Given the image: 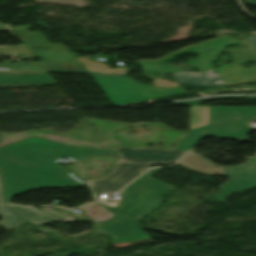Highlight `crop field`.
<instances>
[{
    "label": "crop field",
    "mask_w": 256,
    "mask_h": 256,
    "mask_svg": "<svg viewBox=\"0 0 256 256\" xmlns=\"http://www.w3.org/2000/svg\"><path fill=\"white\" fill-rule=\"evenodd\" d=\"M158 170H149L120 191L118 195L121 200L117 207L96 202L114 216L105 222L94 223V231L110 236L111 243L149 239L141 231L138 220L157 209L161 205L162 196L175 188L151 178Z\"/></svg>",
    "instance_id": "2"
},
{
    "label": "crop field",
    "mask_w": 256,
    "mask_h": 256,
    "mask_svg": "<svg viewBox=\"0 0 256 256\" xmlns=\"http://www.w3.org/2000/svg\"><path fill=\"white\" fill-rule=\"evenodd\" d=\"M59 201H60V200H59ZM59 201H57L55 205H57Z\"/></svg>",
    "instance_id": "17"
},
{
    "label": "crop field",
    "mask_w": 256,
    "mask_h": 256,
    "mask_svg": "<svg viewBox=\"0 0 256 256\" xmlns=\"http://www.w3.org/2000/svg\"><path fill=\"white\" fill-rule=\"evenodd\" d=\"M184 158V157H183ZM241 166L218 168L213 164L190 152L178 164L202 174H226L231 181L220 186V191L216 194V201L224 200V197L240 190L256 186V157L248 158ZM228 169H231L229 172Z\"/></svg>",
    "instance_id": "6"
},
{
    "label": "crop field",
    "mask_w": 256,
    "mask_h": 256,
    "mask_svg": "<svg viewBox=\"0 0 256 256\" xmlns=\"http://www.w3.org/2000/svg\"><path fill=\"white\" fill-rule=\"evenodd\" d=\"M70 255H71V254L55 252V253L52 254L51 256H70Z\"/></svg>",
    "instance_id": "14"
},
{
    "label": "crop field",
    "mask_w": 256,
    "mask_h": 256,
    "mask_svg": "<svg viewBox=\"0 0 256 256\" xmlns=\"http://www.w3.org/2000/svg\"><path fill=\"white\" fill-rule=\"evenodd\" d=\"M93 76L115 104L140 103L187 92L182 86L168 89L140 85L128 77Z\"/></svg>",
    "instance_id": "7"
},
{
    "label": "crop field",
    "mask_w": 256,
    "mask_h": 256,
    "mask_svg": "<svg viewBox=\"0 0 256 256\" xmlns=\"http://www.w3.org/2000/svg\"><path fill=\"white\" fill-rule=\"evenodd\" d=\"M246 3H248V4L252 5V6H256V1H248Z\"/></svg>",
    "instance_id": "16"
},
{
    "label": "crop field",
    "mask_w": 256,
    "mask_h": 256,
    "mask_svg": "<svg viewBox=\"0 0 256 256\" xmlns=\"http://www.w3.org/2000/svg\"><path fill=\"white\" fill-rule=\"evenodd\" d=\"M155 86H167V87H175L178 86L177 83H172L168 80H161V79H156L155 80Z\"/></svg>",
    "instance_id": "13"
},
{
    "label": "crop field",
    "mask_w": 256,
    "mask_h": 256,
    "mask_svg": "<svg viewBox=\"0 0 256 256\" xmlns=\"http://www.w3.org/2000/svg\"><path fill=\"white\" fill-rule=\"evenodd\" d=\"M0 216L3 217V221L0 222V225L5 227L7 230H11L12 228L25 222L21 217L5 206H0Z\"/></svg>",
    "instance_id": "12"
},
{
    "label": "crop field",
    "mask_w": 256,
    "mask_h": 256,
    "mask_svg": "<svg viewBox=\"0 0 256 256\" xmlns=\"http://www.w3.org/2000/svg\"><path fill=\"white\" fill-rule=\"evenodd\" d=\"M12 210L16 213L24 217L30 223L35 225H44L48 222L53 221H72L74 219L68 218L63 216L53 210L48 211H37L36 208L26 207V206H15V205H8Z\"/></svg>",
    "instance_id": "9"
},
{
    "label": "crop field",
    "mask_w": 256,
    "mask_h": 256,
    "mask_svg": "<svg viewBox=\"0 0 256 256\" xmlns=\"http://www.w3.org/2000/svg\"><path fill=\"white\" fill-rule=\"evenodd\" d=\"M209 110L210 124L189 131L171 150L124 147L110 174L88 181L95 198L119 190L154 164L176 162L208 136L247 139L248 133L256 129L247 125L256 117V107L209 106Z\"/></svg>",
    "instance_id": "1"
},
{
    "label": "crop field",
    "mask_w": 256,
    "mask_h": 256,
    "mask_svg": "<svg viewBox=\"0 0 256 256\" xmlns=\"http://www.w3.org/2000/svg\"><path fill=\"white\" fill-rule=\"evenodd\" d=\"M248 48L231 50L235 63L224 64L214 70L201 73L183 72V68L172 66L159 61H141L147 74L156 76L160 73H174L178 82L195 86L232 85L256 81V66L242 68L244 63L256 59V33L244 40ZM238 54L239 56H236Z\"/></svg>",
    "instance_id": "3"
},
{
    "label": "crop field",
    "mask_w": 256,
    "mask_h": 256,
    "mask_svg": "<svg viewBox=\"0 0 256 256\" xmlns=\"http://www.w3.org/2000/svg\"><path fill=\"white\" fill-rule=\"evenodd\" d=\"M89 74L127 76V67L110 69L101 62H93L89 58L77 57Z\"/></svg>",
    "instance_id": "10"
},
{
    "label": "crop field",
    "mask_w": 256,
    "mask_h": 256,
    "mask_svg": "<svg viewBox=\"0 0 256 256\" xmlns=\"http://www.w3.org/2000/svg\"><path fill=\"white\" fill-rule=\"evenodd\" d=\"M0 203H4V198H3V194H2V185H1V181H0Z\"/></svg>",
    "instance_id": "15"
},
{
    "label": "crop field",
    "mask_w": 256,
    "mask_h": 256,
    "mask_svg": "<svg viewBox=\"0 0 256 256\" xmlns=\"http://www.w3.org/2000/svg\"><path fill=\"white\" fill-rule=\"evenodd\" d=\"M0 152L53 167H59L57 161L64 158L80 161L88 156L120 155V152L69 147L35 137L2 147Z\"/></svg>",
    "instance_id": "5"
},
{
    "label": "crop field",
    "mask_w": 256,
    "mask_h": 256,
    "mask_svg": "<svg viewBox=\"0 0 256 256\" xmlns=\"http://www.w3.org/2000/svg\"><path fill=\"white\" fill-rule=\"evenodd\" d=\"M0 173L5 187L6 203L20 193L37 188L83 187L86 183L77 180L63 167L53 168L0 153Z\"/></svg>",
    "instance_id": "4"
},
{
    "label": "crop field",
    "mask_w": 256,
    "mask_h": 256,
    "mask_svg": "<svg viewBox=\"0 0 256 256\" xmlns=\"http://www.w3.org/2000/svg\"><path fill=\"white\" fill-rule=\"evenodd\" d=\"M209 123L208 106H191V128Z\"/></svg>",
    "instance_id": "11"
},
{
    "label": "crop field",
    "mask_w": 256,
    "mask_h": 256,
    "mask_svg": "<svg viewBox=\"0 0 256 256\" xmlns=\"http://www.w3.org/2000/svg\"><path fill=\"white\" fill-rule=\"evenodd\" d=\"M56 83L47 72L0 69V87Z\"/></svg>",
    "instance_id": "8"
}]
</instances>
